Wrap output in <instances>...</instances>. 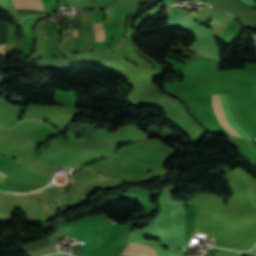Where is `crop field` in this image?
I'll use <instances>...</instances> for the list:
<instances>
[{"instance_id":"7","label":"crop field","mask_w":256,"mask_h":256,"mask_svg":"<svg viewBox=\"0 0 256 256\" xmlns=\"http://www.w3.org/2000/svg\"><path fill=\"white\" fill-rule=\"evenodd\" d=\"M73 32H74V36H78L79 35L78 29H73Z\"/></svg>"},{"instance_id":"8","label":"crop field","mask_w":256,"mask_h":256,"mask_svg":"<svg viewBox=\"0 0 256 256\" xmlns=\"http://www.w3.org/2000/svg\"><path fill=\"white\" fill-rule=\"evenodd\" d=\"M43 189H41V190H38V192H40V191H42Z\"/></svg>"},{"instance_id":"1","label":"crop field","mask_w":256,"mask_h":256,"mask_svg":"<svg viewBox=\"0 0 256 256\" xmlns=\"http://www.w3.org/2000/svg\"><path fill=\"white\" fill-rule=\"evenodd\" d=\"M219 99L221 101L224 115L226 120L231 124V126L242 136V138L253 140L233 119L229 104L227 102L225 95H218ZM217 95L212 96V107L215 112L216 118L219 121V123L228 130L231 134L241 137L225 120L221 104L219 102ZM254 141V140H253Z\"/></svg>"},{"instance_id":"5","label":"crop field","mask_w":256,"mask_h":256,"mask_svg":"<svg viewBox=\"0 0 256 256\" xmlns=\"http://www.w3.org/2000/svg\"><path fill=\"white\" fill-rule=\"evenodd\" d=\"M6 178V175L0 173V183L2 184V182L4 181V179Z\"/></svg>"},{"instance_id":"6","label":"crop field","mask_w":256,"mask_h":256,"mask_svg":"<svg viewBox=\"0 0 256 256\" xmlns=\"http://www.w3.org/2000/svg\"><path fill=\"white\" fill-rule=\"evenodd\" d=\"M5 45H0V55H3Z\"/></svg>"},{"instance_id":"4","label":"crop field","mask_w":256,"mask_h":256,"mask_svg":"<svg viewBox=\"0 0 256 256\" xmlns=\"http://www.w3.org/2000/svg\"><path fill=\"white\" fill-rule=\"evenodd\" d=\"M95 30V41H103L104 33H103V25L102 24H93Z\"/></svg>"},{"instance_id":"2","label":"crop field","mask_w":256,"mask_h":256,"mask_svg":"<svg viewBox=\"0 0 256 256\" xmlns=\"http://www.w3.org/2000/svg\"><path fill=\"white\" fill-rule=\"evenodd\" d=\"M123 254L131 255V256H157L154 250L139 245L136 243H131L128 245L126 250L123 252Z\"/></svg>"},{"instance_id":"9","label":"crop field","mask_w":256,"mask_h":256,"mask_svg":"<svg viewBox=\"0 0 256 256\" xmlns=\"http://www.w3.org/2000/svg\"><path fill=\"white\" fill-rule=\"evenodd\" d=\"M200 55V54H199Z\"/></svg>"},{"instance_id":"3","label":"crop field","mask_w":256,"mask_h":256,"mask_svg":"<svg viewBox=\"0 0 256 256\" xmlns=\"http://www.w3.org/2000/svg\"><path fill=\"white\" fill-rule=\"evenodd\" d=\"M14 1H28L41 2V0H14ZM15 2L17 10H43L41 3ZM31 15V14H18Z\"/></svg>"}]
</instances>
